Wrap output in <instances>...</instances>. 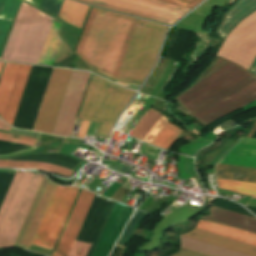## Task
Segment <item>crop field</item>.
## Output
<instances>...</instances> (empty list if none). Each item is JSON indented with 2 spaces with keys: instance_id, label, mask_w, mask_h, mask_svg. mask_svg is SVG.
<instances>
[{
  "instance_id": "crop-field-1",
  "label": "crop field",
  "mask_w": 256,
  "mask_h": 256,
  "mask_svg": "<svg viewBox=\"0 0 256 256\" xmlns=\"http://www.w3.org/2000/svg\"><path fill=\"white\" fill-rule=\"evenodd\" d=\"M32 65L6 63L0 79V116L12 125ZM73 70L54 68L34 129L53 133ZM90 73L74 70L54 130L71 136L74 120Z\"/></svg>"
},
{
  "instance_id": "crop-field-2",
  "label": "crop field",
  "mask_w": 256,
  "mask_h": 256,
  "mask_svg": "<svg viewBox=\"0 0 256 256\" xmlns=\"http://www.w3.org/2000/svg\"><path fill=\"white\" fill-rule=\"evenodd\" d=\"M206 125L256 99V76L227 60L176 98Z\"/></svg>"
},
{
  "instance_id": "crop-field-3",
  "label": "crop field",
  "mask_w": 256,
  "mask_h": 256,
  "mask_svg": "<svg viewBox=\"0 0 256 256\" xmlns=\"http://www.w3.org/2000/svg\"><path fill=\"white\" fill-rule=\"evenodd\" d=\"M138 20L93 7L76 52L87 66L103 68L117 78ZM91 66L112 78L107 71Z\"/></svg>"
},
{
  "instance_id": "crop-field-4",
  "label": "crop field",
  "mask_w": 256,
  "mask_h": 256,
  "mask_svg": "<svg viewBox=\"0 0 256 256\" xmlns=\"http://www.w3.org/2000/svg\"><path fill=\"white\" fill-rule=\"evenodd\" d=\"M55 187L44 177L14 246L30 248ZM78 189L57 186L32 244L53 249Z\"/></svg>"
},
{
  "instance_id": "crop-field-5",
  "label": "crop field",
  "mask_w": 256,
  "mask_h": 256,
  "mask_svg": "<svg viewBox=\"0 0 256 256\" xmlns=\"http://www.w3.org/2000/svg\"><path fill=\"white\" fill-rule=\"evenodd\" d=\"M53 19L22 2L1 59L37 64Z\"/></svg>"
},
{
  "instance_id": "crop-field-6",
  "label": "crop field",
  "mask_w": 256,
  "mask_h": 256,
  "mask_svg": "<svg viewBox=\"0 0 256 256\" xmlns=\"http://www.w3.org/2000/svg\"><path fill=\"white\" fill-rule=\"evenodd\" d=\"M196 229H200L203 231H207L210 233H214L217 235H221L224 237H228L231 239H235V240L256 246V235L255 234L247 233L244 231H240L237 229L229 228L226 226H222V225H218V224H214V223H210V222H206V221H202V220L199 221ZM196 229H194L188 233L181 234V236H185L188 238L196 239V240L210 243L213 245H217L220 247H224V248H228V249L242 252L245 254H249L252 256H256V247L255 246L241 243L238 241H234V240H231L228 238H224L221 236H217V235L210 234V233L203 232V231L196 230ZM181 236H180V239H181V247L182 248L197 251V252L204 253V254L211 255V256H249V255H245L242 253H238V252L231 251L228 249L220 248L217 246H213L210 244H206L203 242H199V241L188 239V238L181 237Z\"/></svg>"
},
{
  "instance_id": "crop-field-7",
  "label": "crop field",
  "mask_w": 256,
  "mask_h": 256,
  "mask_svg": "<svg viewBox=\"0 0 256 256\" xmlns=\"http://www.w3.org/2000/svg\"><path fill=\"white\" fill-rule=\"evenodd\" d=\"M134 94L93 74L78 118L101 123L98 133L109 135Z\"/></svg>"
},
{
  "instance_id": "crop-field-8",
  "label": "crop field",
  "mask_w": 256,
  "mask_h": 256,
  "mask_svg": "<svg viewBox=\"0 0 256 256\" xmlns=\"http://www.w3.org/2000/svg\"><path fill=\"white\" fill-rule=\"evenodd\" d=\"M43 176L15 174L0 208V248L12 246Z\"/></svg>"
},
{
  "instance_id": "crop-field-9",
  "label": "crop field",
  "mask_w": 256,
  "mask_h": 256,
  "mask_svg": "<svg viewBox=\"0 0 256 256\" xmlns=\"http://www.w3.org/2000/svg\"><path fill=\"white\" fill-rule=\"evenodd\" d=\"M167 28V26L139 20L118 81L141 85L155 61Z\"/></svg>"
},
{
  "instance_id": "crop-field-10",
  "label": "crop field",
  "mask_w": 256,
  "mask_h": 256,
  "mask_svg": "<svg viewBox=\"0 0 256 256\" xmlns=\"http://www.w3.org/2000/svg\"><path fill=\"white\" fill-rule=\"evenodd\" d=\"M172 25L203 0H79Z\"/></svg>"
},
{
  "instance_id": "crop-field-11",
  "label": "crop field",
  "mask_w": 256,
  "mask_h": 256,
  "mask_svg": "<svg viewBox=\"0 0 256 256\" xmlns=\"http://www.w3.org/2000/svg\"><path fill=\"white\" fill-rule=\"evenodd\" d=\"M218 56L249 70L256 57V12L241 22L227 37Z\"/></svg>"
},
{
  "instance_id": "crop-field-12",
  "label": "crop field",
  "mask_w": 256,
  "mask_h": 256,
  "mask_svg": "<svg viewBox=\"0 0 256 256\" xmlns=\"http://www.w3.org/2000/svg\"><path fill=\"white\" fill-rule=\"evenodd\" d=\"M94 195L81 190L52 256H68Z\"/></svg>"
},
{
  "instance_id": "crop-field-13",
  "label": "crop field",
  "mask_w": 256,
  "mask_h": 256,
  "mask_svg": "<svg viewBox=\"0 0 256 256\" xmlns=\"http://www.w3.org/2000/svg\"><path fill=\"white\" fill-rule=\"evenodd\" d=\"M237 141L219 163L256 168V139L240 137Z\"/></svg>"
},
{
  "instance_id": "crop-field-14",
  "label": "crop field",
  "mask_w": 256,
  "mask_h": 256,
  "mask_svg": "<svg viewBox=\"0 0 256 256\" xmlns=\"http://www.w3.org/2000/svg\"><path fill=\"white\" fill-rule=\"evenodd\" d=\"M202 219H206L256 234L255 218L247 217L230 211L213 207L211 209L210 216L202 217Z\"/></svg>"
},
{
  "instance_id": "crop-field-15",
  "label": "crop field",
  "mask_w": 256,
  "mask_h": 256,
  "mask_svg": "<svg viewBox=\"0 0 256 256\" xmlns=\"http://www.w3.org/2000/svg\"><path fill=\"white\" fill-rule=\"evenodd\" d=\"M254 10H256V0H238L225 14L222 23L216 30L217 34L224 39L240 20Z\"/></svg>"
},
{
  "instance_id": "crop-field-16",
  "label": "crop field",
  "mask_w": 256,
  "mask_h": 256,
  "mask_svg": "<svg viewBox=\"0 0 256 256\" xmlns=\"http://www.w3.org/2000/svg\"><path fill=\"white\" fill-rule=\"evenodd\" d=\"M20 0H0V53Z\"/></svg>"
},
{
  "instance_id": "crop-field-17",
  "label": "crop field",
  "mask_w": 256,
  "mask_h": 256,
  "mask_svg": "<svg viewBox=\"0 0 256 256\" xmlns=\"http://www.w3.org/2000/svg\"><path fill=\"white\" fill-rule=\"evenodd\" d=\"M89 6L70 0H64L58 17L62 20L81 28Z\"/></svg>"
},
{
  "instance_id": "crop-field-18",
  "label": "crop field",
  "mask_w": 256,
  "mask_h": 256,
  "mask_svg": "<svg viewBox=\"0 0 256 256\" xmlns=\"http://www.w3.org/2000/svg\"><path fill=\"white\" fill-rule=\"evenodd\" d=\"M0 167H8V168H16V169H40V170H46L53 173H57L65 177L71 176L73 173V171L69 169L42 163V162L0 160Z\"/></svg>"
},
{
  "instance_id": "crop-field-19",
  "label": "crop field",
  "mask_w": 256,
  "mask_h": 256,
  "mask_svg": "<svg viewBox=\"0 0 256 256\" xmlns=\"http://www.w3.org/2000/svg\"><path fill=\"white\" fill-rule=\"evenodd\" d=\"M216 177L256 182V169L217 164Z\"/></svg>"
},
{
  "instance_id": "crop-field-20",
  "label": "crop field",
  "mask_w": 256,
  "mask_h": 256,
  "mask_svg": "<svg viewBox=\"0 0 256 256\" xmlns=\"http://www.w3.org/2000/svg\"><path fill=\"white\" fill-rule=\"evenodd\" d=\"M60 25L61 24L53 22L38 64H45V65L53 64L56 54L58 52V49L60 47L61 41H62L61 38L57 34Z\"/></svg>"
},
{
  "instance_id": "crop-field-21",
  "label": "crop field",
  "mask_w": 256,
  "mask_h": 256,
  "mask_svg": "<svg viewBox=\"0 0 256 256\" xmlns=\"http://www.w3.org/2000/svg\"><path fill=\"white\" fill-rule=\"evenodd\" d=\"M216 180H217V186L220 189H225L229 191L250 195V196H253L252 198L256 199V183L219 179V178H216Z\"/></svg>"
},
{
  "instance_id": "crop-field-22",
  "label": "crop field",
  "mask_w": 256,
  "mask_h": 256,
  "mask_svg": "<svg viewBox=\"0 0 256 256\" xmlns=\"http://www.w3.org/2000/svg\"><path fill=\"white\" fill-rule=\"evenodd\" d=\"M181 132L182 130L173 126L168 121L157 136L152 140L151 144L167 150Z\"/></svg>"
},
{
  "instance_id": "crop-field-23",
  "label": "crop field",
  "mask_w": 256,
  "mask_h": 256,
  "mask_svg": "<svg viewBox=\"0 0 256 256\" xmlns=\"http://www.w3.org/2000/svg\"><path fill=\"white\" fill-rule=\"evenodd\" d=\"M160 115L159 112L150 108L129 135L142 140Z\"/></svg>"
},
{
  "instance_id": "crop-field-24",
  "label": "crop field",
  "mask_w": 256,
  "mask_h": 256,
  "mask_svg": "<svg viewBox=\"0 0 256 256\" xmlns=\"http://www.w3.org/2000/svg\"><path fill=\"white\" fill-rule=\"evenodd\" d=\"M147 215V213L137 211L133 218L130 219L127 227L125 228L123 234L121 235L120 239L118 240L117 244L125 245L126 242L131 238V236L136 231L137 227L139 226L141 220Z\"/></svg>"
},
{
  "instance_id": "crop-field-25",
  "label": "crop field",
  "mask_w": 256,
  "mask_h": 256,
  "mask_svg": "<svg viewBox=\"0 0 256 256\" xmlns=\"http://www.w3.org/2000/svg\"><path fill=\"white\" fill-rule=\"evenodd\" d=\"M63 0H42L39 8L57 17Z\"/></svg>"
},
{
  "instance_id": "crop-field-26",
  "label": "crop field",
  "mask_w": 256,
  "mask_h": 256,
  "mask_svg": "<svg viewBox=\"0 0 256 256\" xmlns=\"http://www.w3.org/2000/svg\"><path fill=\"white\" fill-rule=\"evenodd\" d=\"M0 140L21 143V144H27V145H32V146L35 145L34 138H28V137L6 134V133H0Z\"/></svg>"
},
{
  "instance_id": "crop-field-27",
  "label": "crop field",
  "mask_w": 256,
  "mask_h": 256,
  "mask_svg": "<svg viewBox=\"0 0 256 256\" xmlns=\"http://www.w3.org/2000/svg\"><path fill=\"white\" fill-rule=\"evenodd\" d=\"M168 120L165 116H161V118L157 121V123L153 126V128L148 132V134L144 137L143 141L148 143L156 136V134L161 130V128L166 124Z\"/></svg>"
},
{
  "instance_id": "crop-field-28",
  "label": "crop field",
  "mask_w": 256,
  "mask_h": 256,
  "mask_svg": "<svg viewBox=\"0 0 256 256\" xmlns=\"http://www.w3.org/2000/svg\"><path fill=\"white\" fill-rule=\"evenodd\" d=\"M91 244L76 241L69 256H86Z\"/></svg>"
},
{
  "instance_id": "crop-field-29",
  "label": "crop field",
  "mask_w": 256,
  "mask_h": 256,
  "mask_svg": "<svg viewBox=\"0 0 256 256\" xmlns=\"http://www.w3.org/2000/svg\"><path fill=\"white\" fill-rule=\"evenodd\" d=\"M173 256H207V255L200 254V253H197V252H193V251H189V250L181 248L180 252L173 255Z\"/></svg>"
},
{
  "instance_id": "crop-field-30",
  "label": "crop field",
  "mask_w": 256,
  "mask_h": 256,
  "mask_svg": "<svg viewBox=\"0 0 256 256\" xmlns=\"http://www.w3.org/2000/svg\"><path fill=\"white\" fill-rule=\"evenodd\" d=\"M89 123L90 122H88V121H82V125H81V128H80V131H79V137H84V134H85V132H86V130H87V127H88V125H89Z\"/></svg>"
},
{
  "instance_id": "crop-field-31",
  "label": "crop field",
  "mask_w": 256,
  "mask_h": 256,
  "mask_svg": "<svg viewBox=\"0 0 256 256\" xmlns=\"http://www.w3.org/2000/svg\"><path fill=\"white\" fill-rule=\"evenodd\" d=\"M11 127L0 120V129L9 131Z\"/></svg>"
},
{
  "instance_id": "crop-field-32",
  "label": "crop field",
  "mask_w": 256,
  "mask_h": 256,
  "mask_svg": "<svg viewBox=\"0 0 256 256\" xmlns=\"http://www.w3.org/2000/svg\"><path fill=\"white\" fill-rule=\"evenodd\" d=\"M252 73H254L256 75V59L254 61V63L252 64L250 70Z\"/></svg>"
},
{
  "instance_id": "crop-field-33",
  "label": "crop field",
  "mask_w": 256,
  "mask_h": 256,
  "mask_svg": "<svg viewBox=\"0 0 256 256\" xmlns=\"http://www.w3.org/2000/svg\"><path fill=\"white\" fill-rule=\"evenodd\" d=\"M255 128H256V123H255V125H254V127H253V129H252V131H251V133H250V135H249V137H251V135H252V133L254 132Z\"/></svg>"
},
{
  "instance_id": "crop-field-34",
  "label": "crop field",
  "mask_w": 256,
  "mask_h": 256,
  "mask_svg": "<svg viewBox=\"0 0 256 256\" xmlns=\"http://www.w3.org/2000/svg\"><path fill=\"white\" fill-rule=\"evenodd\" d=\"M3 63L4 62H0V72H1V69H2V66H3Z\"/></svg>"
},
{
  "instance_id": "crop-field-35",
  "label": "crop field",
  "mask_w": 256,
  "mask_h": 256,
  "mask_svg": "<svg viewBox=\"0 0 256 256\" xmlns=\"http://www.w3.org/2000/svg\"><path fill=\"white\" fill-rule=\"evenodd\" d=\"M123 254V253H122ZM122 256V255H121Z\"/></svg>"
}]
</instances>
